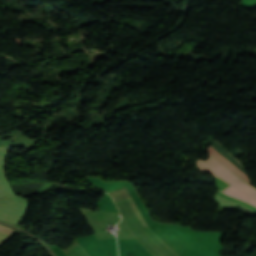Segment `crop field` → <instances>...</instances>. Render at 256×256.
<instances>
[{
    "instance_id": "ac0d7876",
    "label": "crop field",
    "mask_w": 256,
    "mask_h": 256,
    "mask_svg": "<svg viewBox=\"0 0 256 256\" xmlns=\"http://www.w3.org/2000/svg\"><path fill=\"white\" fill-rule=\"evenodd\" d=\"M207 149L212 153L215 158H217L219 161L229 167L236 175H238L243 180L249 182L245 175H243L237 168H235L230 162H228L223 156H221L215 149H213L211 146Z\"/></svg>"
},
{
    "instance_id": "8a807250",
    "label": "crop field",
    "mask_w": 256,
    "mask_h": 256,
    "mask_svg": "<svg viewBox=\"0 0 256 256\" xmlns=\"http://www.w3.org/2000/svg\"><path fill=\"white\" fill-rule=\"evenodd\" d=\"M207 163H209L210 165H212L213 167H215L216 169H218L219 171H221L222 173H224L225 175H227L228 177H230L231 179H233L235 182H237L239 185H241L243 188L252 191L254 193H256V189L250 185V187L246 186L245 182L243 180H241L240 178H238L236 175H234L232 172H230L226 167H224L218 160H216L210 153V158H208L207 160H205ZM206 162L202 161V160H198L197 161V165L200 167V170L202 171H207L208 173L217 176L219 178H221L222 180H224L225 182H227L228 184H230L231 186L235 187L236 189L242 191L243 193L249 195L250 197L256 199V195L243 189L241 186H239L238 184H236L234 181H232L230 178H228L227 176H225L224 174H222L221 172H219L218 170H216L215 168H213L212 166H210L209 164H207Z\"/></svg>"
}]
</instances>
